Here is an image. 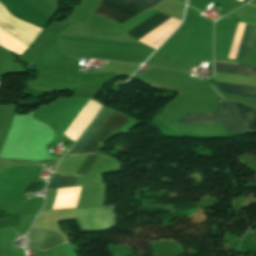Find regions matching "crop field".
<instances>
[{
    "instance_id": "obj_1",
    "label": "crop field",
    "mask_w": 256,
    "mask_h": 256,
    "mask_svg": "<svg viewBox=\"0 0 256 256\" xmlns=\"http://www.w3.org/2000/svg\"><path fill=\"white\" fill-rule=\"evenodd\" d=\"M244 117L250 131H256V112L252 109L236 103ZM235 102L223 100L217 110L218 118L227 133L249 131L243 117L241 116Z\"/></svg>"
},
{
    "instance_id": "obj_2",
    "label": "crop field",
    "mask_w": 256,
    "mask_h": 256,
    "mask_svg": "<svg viewBox=\"0 0 256 256\" xmlns=\"http://www.w3.org/2000/svg\"><path fill=\"white\" fill-rule=\"evenodd\" d=\"M112 112L106 110L105 113L101 116V118L96 122V124L91 128L86 137L82 140L81 143L70 153L71 154H79L81 151L85 149L88 143L92 140L98 130L102 127V125L106 122V120L111 116ZM127 118L113 113L112 116L108 119V121L103 125V127L99 130L87 148L80 154L85 153H93L96 152L97 148L107 136L108 133H117L119 129L126 122ZM109 135V134H108ZM106 139V138H105ZM103 143V142H102Z\"/></svg>"
},
{
    "instance_id": "obj_3",
    "label": "crop field",
    "mask_w": 256,
    "mask_h": 256,
    "mask_svg": "<svg viewBox=\"0 0 256 256\" xmlns=\"http://www.w3.org/2000/svg\"><path fill=\"white\" fill-rule=\"evenodd\" d=\"M108 2H111L113 4L119 5L121 7L127 8L129 10L135 11L137 13L142 12L143 10H146L147 8H150L152 6H155L158 2H160L161 0H105ZM105 1H101L98 6L96 7V9L94 10V13L101 15L105 18H108L112 21H115L119 24L131 19V17L135 16L137 13L129 11L127 9L121 8L119 6L113 5L111 3L105 2Z\"/></svg>"
},
{
    "instance_id": "obj_4",
    "label": "crop field",
    "mask_w": 256,
    "mask_h": 256,
    "mask_svg": "<svg viewBox=\"0 0 256 256\" xmlns=\"http://www.w3.org/2000/svg\"><path fill=\"white\" fill-rule=\"evenodd\" d=\"M77 222L82 232L109 229L115 224L113 207L79 209Z\"/></svg>"
},
{
    "instance_id": "obj_5",
    "label": "crop field",
    "mask_w": 256,
    "mask_h": 256,
    "mask_svg": "<svg viewBox=\"0 0 256 256\" xmlns=\"http://www.w3.org/2000/svg\"><path fill=\"white\" fill-rule=\"evenodd\" d=\"M215 71L256 76V67H249V66H245V65H241V64L235 65V64L215 62ZM215 84L224 93L243 95V96H249V97L256 98V88L255 87L240 86V85L218 83V82H215Z\"/></svg>"
},
{
    "instance_id": "obj_6",
    "label": "crop field",
    "mask_w": 256,
    "mask_h": 256,
    "mask_svg": "<svg viewBox=\"0 0 256 256\" xmlns=\"http://www.w3.org/2000/svg\"><path fill=\"white\" fill-rule=\"evenodd\" d=\"M256 43V26L246 24L235 59L250 61Z\"/></svg>"
},
{
    "instance_id": "obj_7",
    "label": "crop field",
    "mask_w": 256,
    "mask_h": 256,
    "mask_svg": "<svg viewBox=\"0 0 256 256\" xmlns=\"http://www.w3.org/2000/svg\"><path fill=\"white\" fill-rule=\"evenodd\" d=\"M29 240L42 250H47L64 242L61 233L35 229L30 230Z\"/></svg>"
},
{
    "instance_id": "obj_8",
    "label": "crop field",
    "mask_w": 256,
    "mask_h": 256,
    "mask_svg": "<svg viewBox=\"0 0 256 256\" xmlns=\"http://www.w3.org/2000/svg\"><path fill=\"white\" fill-rule=\"evenodd\" d=\"M169 18L171 17L156 12L126 34L138 40Z\"/></svg>"
},
{
    "instance_id": "obj_9",
    "label": "crop field",
    "mask_w": 256,
    "mask_h": 256,
    "mask_svg": "<svg viewBox=\"0 0 256 256\" xmlns=\"http://www.w3.org/2000/svg\"><path fill=\"white\" fill-rule=\"evenodd\" d=\"M220 123L216 113L187 114L176 124Z\"/></svg>"
},
{
    "instance_id": "obj_10",
    "label": "crop field",
    "mask_w": 256,
    "mask_h": 256,
    "mask_svg": "<svg viewBox=\"0 0 256 256\" xmlns=\"http://www.w3.org/2000/svg\"><path fill=\"white\" fill-rule=\"evenodd\" d=\"M78 177L79 176H63L54 173L47 189L73 186L76 184Z\"/></svg>"
},
{
    "instance_id": "obj_11",
    "label": "crop field",
    "mask_w": 256,
    "mask_h": 256,
    "mask_svg": "<svg viewBox=\"0 0 256 256\" xmlns=\"http://www.w3.org/2000/svg\"><path fill=\"white\" fill-rule=\"evenodd\" d=\"M96 158H97V155H89L87 157L79 175H84V174L89 173V171L91 170Z\"/></svg>"
},
{
    "instance_id": "obj_12",
    "label": "crop field",
    "mask_w": 256,
    "mask_h": 256,
    "mask_svg": "<svg viewBox=\"0 0 256 256\" xmlns=\"http://www.w3.org/2000/svg\"><path fill=\"white\" fill-rule=\"evenodd\" d=\"M43 181L30 183L25 192L39 190Z\"/></svg>"
}]
</instances>
